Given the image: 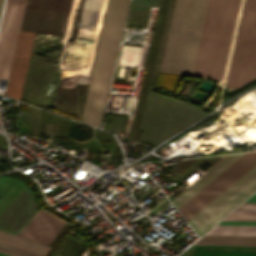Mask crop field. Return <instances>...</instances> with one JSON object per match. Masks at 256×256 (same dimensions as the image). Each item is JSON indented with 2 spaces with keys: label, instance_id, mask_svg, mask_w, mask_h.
<instances>
[{
  "label": "crop field",
  "instance_id": "8a807250",
  "mask_svg": "<svg viewBox=\"0 0 256 256\" xmlns=\"http://www.w3.org/2000/svg\"><path fill=\"white\" fill-rule=\"evenodd\" d=\"M208 0H175L159 71L191 76ZM240 0H209L192 76L220 81Z\"/></svg>",
  "mask_w": 256,
  "mask_h": 256
},
{
  "label": "crop field",
  "instance_id": "ac0d7876",
  "mask_svg": "<svg viewBox=\"0 0 256 256\" xmlns=\"http://www.w3.org/2000/svg\"><path fill=\"white\" fill-rule=\"evenodd\" d=\"M129 0H109L82 122L100 128Z\"/></svg>",
  "mask_w": 256,
  "mask_h": 256
},
{
  "label": "crop field",
  "instance_id": "34b2d1b8",
  "mask_svg": "<svg viewBox=\"0 0 256 256\" xmlns=\"http://www.w3.org/2000/svg\"><path fill=\"white\" fill-rule=\"evenodd\" d=\"M255 78L256 0H245L226 87H239Z\"/></svg>",
  "mask_w": 256,
  "mask_h": 256
},
{
  "label": "crop field",
  "instance_id": "412701ff",
  "mask_svg": "<svg viewBox=\"0 0 256 256\" xmlns=\"http://www.w3.org/2000/svg\"><path fill=\"white\" fill-rule=\"evenodd\" d=\"M254 191H256V166L187 222L197 235L201 236Z\"/></svg>",
  "mask_w": 256,
  "mask_h": 256
},
{
  "label": "crop field",
  "instance_id": "f4fd0767",
  "mask_svg": "<svg viewBox=\"0 0 256 256\" xmlns=\"http://www.w3.org/2000/svg\"><path fill=\"white\" fill-rule=\"evenodd\" d=\"M254 165H256V151L246 153L181 208H179V212L187 221L217 195L250 170Z\"/></svg>",
  "mask_w": 256,
  "mask_h": 256
},
{
  "label": "crop field",
  "instance_id": "dd49c442",
  "mask_svg": "<svg viewBox=\"0 0 256 256\" xmlns=\"http://www.w3.org/2000/svg\"><path fill=\"white\" fill-rule=\"evenodd\" d=\"M25 1L7 0L0 27V79H7Z\"/></svg>",
  "mask_w": 256,
  "mask_h": 256
},
{
  "label": "crop field",
  "instance_id": "e52e79f7",
  "mask_svg": "<svg viewBox=\"0 0 256 256\" xmlns=\"http://www.w3.org/2000/svg\"><path fill=\"white\" fill-rule=\"evenodd\" d=\"M35 34L19 32L6 95L20 100Z\"/></svg>",
  "mask_w": 256,
  "mask_h": 256
},
{
  "label": "crop field",
  "instance_id": "d8731c3e",
  "mask_svg": "<svg viewBox=\"0 0 256 256\" xmlns=\"http://www.w3.org/2000/svg\"><path fill=\"white\" fill-rule=\"evenodd\" d=\"M64 224L40 209L18 235L48 245Z\"/></svg>",
  "mask_w": 256,
  "mask_h": 256
},
{
  "label": "crop field",
  "instance_id": "5a996713",
  "mask_svg": "<svg viewBox=\"0 0 256 256\" xmlns=\"http://www.w3.org/2000/svg\"><path fill=\"white\" fill-rule=\"evenodd\" d=\"M52 247L0 231V253L8 256H46Z\"/></svg>",
  "mask_w": 256,
  "mask_h": 256
},
{
  "label": "crop field",
  "instance_id": "3316defc",
  "mask_svg": "<svg viewBox=\"0 0 256 256\" xmlns=\"http://www.w3.org/2000/svg\"><path fill=\"white\" fill-rule=\"evenodd\" d=\"M243 154L245 153L228 155L202 177H200L196 182H194L191 186H189L186 190H184L181 194H179L176 198H174L171 202L176 208H178L191 196H193L196 192H198L201 188L213 180L217 175H219L222 171L234 163Z\"/></svg>",
  "mask_w": 256,
  "mask_h": 256
},
{
  "label": "crop field",
  "instance_id": "28ad6ade",
  "mask_svg": "<svg viewBox=\"0 0 256 256\" xmlns=\"http://www.w3.org/2000/svg\"><path fill=\"white\" fill-rule=\"evenodd\" d=\"M194 244L256 246V236L204 235Z\"/></svg>",
  "mask_w": 256,
  "mask_h": 256
},
{
  "label": "crop field",
  "instance_id": "d1516ede",
  "mask_svg": "<svg viewBox=\"0 0 256 256\" xmlns=\"http://www.w3.org/2000/svg\"><path fill=\"white\" fill-rule=\"evenodd\" d=\"M206 234L256 235V226L216 225Z\"/></svg>",
  "mask_w": 256,
  "mask_h": 256
},
{
  "label": "crop field",
  "instance_id": "22f410ed",
  "mask_svg": "<svg viewBox=\"0 0 256 256\" xmlns=\"http://www.w3.org/2000/svg\"><path fill=\"white\" fill-rule=\"evenodd\" d=\"M84 247H85V245H83V244H81V243H79V242H77L73 239H70V238L66 237L64 239V241L58 246V248L56 247L57 249L55 248L56 250L55 249H54L55 251L53 250L54 252L52 253V255L51 254L50 255L55 256L56 254H58L60 256H78L79 253L84 249Z\"/></svg>",
  "mask_w": 256,
  "mask_h": 256
},
{
  "label": "crop field",
  "instance_id": "cbeb9de0",
  "mask_svg": "<svg viewBox=\"0 0 256 256\" xmlns=\"http://www.w3.org/2000/svg\"><path fill=\"white\" fill-rule=\"evenodd\" d=\"M245 202H256V193ZM233 212H256V203H243Z\"/></svg>",
  "mask_w": 256,
  "mask_h": 256
},
{
  "label": "crop field",
  "instance_id": "5142ce71",
  "mask_svg": "<svg viewBox=\"0 0 256 256\" xmlns=\"http://www.w3.org/2000/svg\"><path fill=\"white\" fill-rule=\"evenodd\" d=\"M223 220H250V221H256V213H230Z\"/></svg>",
  "mask_w": 256,
  "mask_h": 256
},
{
  "label": "crop field",
  "instance_id": "d9b57169",
  "mask_svg": "<svg viewBox=\"0 0 256 256\" xmlns=\"http://www.w3.org/2000/svg\"><path fill=\"white\" fill-rule=\"evenodd\" d=\"M192 256H256V254H248V253L193 252Z\"/></svg>",
  "mask_w": 256,
  "mask_h": 256
},
{
  "label": "crop field",
  "instance_id": "733c2abd",
  "mask_svg": "<svg viewBox=\"0 0 256 256\" xmlns=\"http://www.w3.org/2000/svg\"><path fill=\"white\" fill-rule=\"evenodd\" d=\"M207 247H221V248H255L256 247H246V246H207ZM221 248H204V249H219V250H253L256 251L255 249H221ZM219 250H202V251H217V252H251V253H256L253 251H219Z\"/></svg>",
  "mask_w": 256,
  "mask_h": 256
},
{
  "label": "crop field",
  "instance_id": "4a817a6b",
  "mask_svg": "<svg viewBox=\"0 0 256 256\" xmlns=\"http://www.w3.org/2000/svg\"><path fill=\"white\" fill-rule=\"evenodd\" d=\"M70 226L71 225L66 223L65 226L60 230V232L55 236V238L50 242L49 246L54 247Z\"/></svg>",
  "mask_w": 256,
  "mask_h": 256
},
{
  "label": "crop field",
  "instance_id": "bc2a9ffb",
  "mask_svg": "<svg viewBox=\"0 0 256 256\" xmlns=\"http://www.w3.org/2000/svg\"><path fill=\"white\" fill-rule=\"evenodd\" d=\"M218 224H247V225H256V222H224V221H221Z\"/></svg>",
  "mask_w": 256,
  "mask_h": 256
},
{
  "label": "crop field",
  "instance_id": "214f88e0",
  "mask_svg": "<svg viewBox=\"0 0 256 256\" xmlns=\"http://www.w3.org/2000/svg\"><path fill=\"white\" fill-rule=\"evenodd\" d=\"M2 4H3V0H0V13H1V9H2Z\"/></svg>",
  "mask_w": 256,
  "mask_h": 256
},
{
  "label": "crop field",
  "instance_id": "92a150f3",
  "mask_svg": "<svg viewBox=\"0 0 256 256\" xmlns=\"http://www.w3.org/2000/svg\"><path fill=\"white\" fill-rule=\"evenodd\" d=\"M0 256H5V255L0 254Z\"/></svg>",
  "mask_w": 256,
  "mask_h": 256
},
{
  "label": "crop field",
  "instance_id": "dafd665d",
  "mask_svg": "<svg viewBox=\"0 0 256 256\" xmlns=\"http://www.w3.org/2000/svg\"><path fill=\"white\" fill-rule=\"evenodd\" d=\"M56 256H58V255H56Z\"/></svg>",
  "mask_w": 256,
  "mask_h": 256
}]
</instances>
